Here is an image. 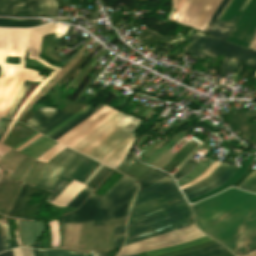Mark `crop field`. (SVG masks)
Masks as SVG:
<instances>
[{
  "label": "crop field",
  "instance_id": "1",
  "mask_svg": "<svg viewBox=\"0 0 256 256\" xmlns=\"http://www.w3.org/2000/svg\"><path fill=\"white\" fill-rule=\"evenodd\" d=\"M191 217L189 205L168 175L138 192L127 223L124 244L190 224Z\"/></svg>",
  "mask_w": 256,
  "mask_h": 256
},
{
  "label": "crop field",
  "instance_id": "2",
  "mask_svg": "<svg viewBox=\"0 0 256 256\" xmlns=\"http://www.w3.org/2000/svg\"><path fill=\"white\" fill-rule=\"evenodd\" d=\"M29 29H0V115L6 116L24 79L39 81L43 76L39 73L24 68L25 51L27 48ZM6 55L22 57L21 64L13 65L6 63ZM2 71L4 77L2 78ZM60 70L56 69L49 77H54ZM50 80L45 79L22 104L21 110L26 106L29 100Z\"/></svg>",
  "mask_w": 256,
  "mask_h": 256
},
{
  "label": "crop field",
  "instance_id": "3",
  "mask_svg": "<svg viewBox=\"0 0 256 256\" xmlns=\"http://www.w3.org/2000/svg\"><path fill=\"white\" fill-rule=\"evenodd\" d=\"M141 120L117 112L104 124L86 136L72 149L115 167L127 154ZM132 138V139H131Z\"/></svg>",
  "mask_w": 256,
  "mask_h": 256
},
{
  "label": "crop field",
  "instance_id": "4",
  "mask_svg": "<svg viewBox=\"0 0 256 256\" xmlns=\"http://www.w3.org/2000/svg\"><path fill=\"white\" fill-rule=\"evenodd\" d=\"M138 188L136 181L124 175L102 198L91 194L77 211L60 218L73 223L94 219V225H107L106 221L129 213Z\"/></svg>",
  "mask_w": 256,
  "mask_h": 256
},
{
  "label": "crop field",
  "instance_id": "5",
  "mask_svg": "<svg viewBox=\"0 0 256 256\" xmlns=\"http://www.w3.org/2000/svg\"><path fill=\"white\" fill-rule=\"evenodd\" d=\"M232 26L233 24L217 20L211 34L221 39L209 35L204 36V34L199 32L194 33L187 39L188 41L194 43L199 38L197 42L189 49V52L203 58H205V55L214 57L216 58L215 61H222L224 58L221 73V76L224 78L229 70L238 69V59H240L245 65L256 67L255 51L247 50L225 41ZM223 79L220 83H222Z\"/></svg>",
  "mask_w": 256,
  "mask_h": 256
},
{
  "label": "crop field",
  "instance_id": "6",
  "mask_svg": "<svg viewBox=\"0 0 256 256\" xmlns=\"http://www.w3.org/2000/svg\"><path fill=\"white\" fill-rule=\"evenodd\" d=\"M95 164L93 159L66 147L46 164L35 186L51 191L47 197L51 203L72 179L80 181Z\"/></svg>",
  "mask_w": 256,
  "mask_h": 256
},
{
  "label": "crop field",
  "instance_id": "7",
  "mask_svg": "<svg viewBox=\"0 0 256 256\" xmlns=\"http://www.w3.org/2000/svg\"><path fill=\"white\" fill-rule=\"evenodd\" d=\"M205 236L199 230L195 228L194 223L185 227L179 228L175 231L145 239L142 241L126 244L122 247L119 255L132 254L136 252L153 250L169 245H174L186 241L196 239L198 237Z\"/></svg>",
  "mask_w": 256,
  "mask_h": 256
},
{
  "label": "crop field",
  "instance_id": "8",
  "mask_svg": "<svg viewBox=\"0 0 256 256\" xmlns=\"http://www.w3.org/2000/svg\"><path fill=\"white\" fill-rule=\"evenodd\" d=\"M188 131L177 133L172 140L158 149L146 163L158 167L170 173L198 144L194 140H186L183 137ZM186 142L184 145L182 143ZM182 146L177 152L173 150L174 146Z\"/></svg>",
  "mask_w": 256,
  "mask_h": 256
},
{
  "label": "crop field",
  "instance_id": "9",
  "mask_svg": "<svg viewBox=\"0 0 256 256\" xmlns=\"http://www.w3.org/2000/svg\"><path fill=\"white\" fill-rule=\"evenodd\" d=\"M126 218H119L116 220L108 221V225H122L126 223ZM84 223H81V229H80V236H79V241L77 245V251L80 249L81 241H82V236H83V228H84ZM105 232H106V226L102 227H93V221H89L85 223V229H84V237H83V242L81 245L80 251L82 252H88L90 249L92 250H97V251H104L105 249ZM125 235L123 234H117L114 235L116 236H122ZM108 246H109V226H107V233H106V249L105 251H108ZM113 249V226H110V246H109V251Z\"/></svg>",
  "mask_w": 256,
  "mask_h": 256
},
{
  "label": "crop field",
  "instance_id": "10",
  "mask_svg": "<svg viewBox=\"0 0 256 256\" xmlns=\"http://www.w3.org/2000/svg\"><path fill=\"white\" fill-rule=\"evenodd\" d=\"M220 0H185L176 21L205 30Z\"/></svg>",
  "mask_w": 256,
  "mask_h": 256
},
{
  "label": "crop field",
  "instance_id": "11",
  "mask_svg": "<svg viewBox=\"0 0 256 256\" xmlns=\"http://www.w3.org/2000/svg\"><path fill=\"white\" fill-rule=\"evenodd\" d=\"M115 112L117 111L105 105L56 141L71 148Z\"/></svg>",
  "mask_w": 256,
  "mask_h": 256
},
{
  "label": "crop field",
  "instance_id": "12",
  "mask_svg": "<svg viewBox=\"0 0 256 256\" xmlns=\"http://www.w3.org/2000/svg\"><path fill=\"white\" fill-rule=\"evenodd\" d=\"M70 116H72V114L62 110L50 107H39L27 123L32 128L44 134L55 128Z\"/></svg>",
  "mask_w": 256,
  "mask_h": 256
},
{
  "label": "crop field",
  "instance_id": "13",
  "mask_svg": "<svg viewBox=\"0 0 256 256\" xmlns=\"http://www.w3.org/2000/svg\"><path fill=\"white\" fill-rule=\"evenodd\" d=\"M0 15L42 16L38 0H0Z\"/></svg>",
  "mask_w": 256,
  "mask_h": 256
},
{
  "label": "crop field",
  "instance_id": "14",
  "mask_svg": "<svg viewBox=\"0 0 256 256\" xmlns=\"http://www.w3.org/2000/svg\"><path fill=\"white\" fill-rule=\"evenodd\" d=\"M58 25H59L58 23H51V24H48V25L46 24L44 26H41V27H38L35 29H30L29 42H28L29 58L36 59L54 69L57 67H54V66L48 64L47 62L39 59L38 53H39V49H40L41 36L48 34V33L56 32Z\"/></svg>",
  "mask_w": 256,
  "mask_h": 256
},
{
  "label": "crop field",
  "instance_id": "15",
  "mask_svg": "<svg viewBox=\"0 0 256 256\" xmlns=\"http://www.w3.org/2000/svg\"><path fill=\"white\" fill-rule=\"evenodd\" d=\"M27 158H28V156L26 155V157H25V158L19 163V165L13 170L12 174L9 176L10 179L13 178L15 172L18 170V168L21 166V164H22ZM31 158H32V157H29V158L22 164V166L19 168V170H18L17 173L15 174L13 180H15V178L18 176V174L20 173V171L23 169V167L27 164V162H28ZM34 161H35V160H33V159H31V160L29 161V163L25 166V168L22 170V172H21V173L19 174V176L17 177V179H16L17 181H20V179L23 177V175L25 174V172H26V171L28 170V168L33 164ZM38 163H39V161L36 160L35 163H34V164L30 167V169L26 172V174L24 175V177L21 179V182L27 183V181H28L30 175L32 174L33 170L35 169V167L37 166ZM42 163H43V162L40 161V163L38 164V166H37L36 169L34 170L33 174L31 175V177H30V179H29V181H28V184H30V182H31L32 179L34 178V176L36 175V173H37V171H38V169L40 168V166H41ZM45 164H46V163H43V164H42V166H41L40 170L38 171L37 175L35 176V178H34L33 181L31 182V185H33V186L35 185V183H36V181H37V179H38V177H39V175H40L42 169L44 168ZM21 186H22V185H21ZM20 188H21V187H20ZM19 190H20V189H19ZM18 192H19V191H18ZM17 194H18V193H17ZM17 194H16V195H17ZM15 197H16V196H15ZM14 199H15V198H14ZM13 201H14V200H13ZM13 201H12V203H13ZM12 203H11V205H12ZM11 205H10V207H11ZM10 207L8 208V210L10 209ZM8 210H7V212H8ZM7 212H6V214H7Z\"/></svg>",
  "mask_w": 256,
  "mask_h": 256
},
{
  "label": "crop field",
  "instance_id": "16",
  "mask_svg": "<svg viewBox=\"0 0 256 256\" xmlns=\"http://www.w3.org/2000/svg\"><path fill=\"white\" fill-rule=\"evenodd\" d=\"M3 182V178L0 181V185ZM9 180L5 179L3 184L0 187V197L2 195L3 190L5 189V187L7 186ZM19 182H15V181H11L8 184V186L6 187L1 199H0V212L5 214L7 208L9 207L11 201L13 200L15 194L17 193L19 187H20Z\"/></svg>",
  "mask_w": 256,
  "mask_h": 256
},
{
  "label": "crop field",
  "instance_id": "17",
  "mask_svg": "<svg viewBox=\"0 0 256 256\" xmlns=\"http://www.w3.org/2000/svg\"><path fill=\"white\" fill-rule=\"evenodd\" d=\"M101 106H103V104H99L96 107H94L93 109H91L92 105H90L84 112L80 113L79 115H77L76 117L71 119L69 122H67L65 125H63L61 128H59L57 131H55L54 133H52L48 137H50V138H52L54 140L59 138L61 135H63L64 133L69 131L71 128H73L74 126L79 124L81 121H83L84 119L89 117L91 114H93Z\"/></svg>",
  "mask_w": 256,
  "mask_h": 256
},
{
  "label": "crop field",
  "instance_id": "18",
  "mask_svg": "<svg viewBox=\"0 0 256 256\" xmlns=\"http://www.w3.org/2000/svg\"><path fill=\"white\" fill-rule=\"evenodd\" d=\"M237 168L238 166L231 164L228 169L214 183L209 184L195 192L185 194L184 196L186 197V199L193 198L218 187L219 185L223 184L236 171Z\"/></svg>",
  "mask_w": 256,
  "mask_h": 256
},
{
  "label": "crop field",
  "instance_id": "19",
  "mask_svg": "<svg viewBox=\"0 0 256 256\" xmlns=\"http://www.w3.org/2000/svg\"><path fill=\"white\" fill-rule=\"evenodd\" d=\"M83 186L84 184L73 180L69 186L52 202V204L57 206H66Z\"/></svg>",
  "mask_w": 256,
  "mask_h": 256
},
{
  "label": "crop field",
  "instance_id": "20",
  "mask_svg": "<svg viewBox=\"0 0 256 256\" xmlns=\"http://www.w3.org/2000/svg\"><path fill=\"white\" fill-rule=\"evenodd\" d=\"M19 222H20V228H21V232H22V236H23L25 245L34 241L29 221L19 220ZM34 222H35V226H36V229L38 232V236H40V234L44 228L43 222H40V221H34ZM31 226H32V223H31ZM32 230H33V227H32ZM37 232H36V235H37ZM33 234H34V238L36 239L34 231H33ZM38 236H37V238H38Z\"/></svg>",
  "mask_w": 256,
  "mask_h": 256
},
{
  "label": "crop field",
  "instance_id": "21",
  "mask_svg": "<svg viewBox=\"0 0 256 256\" xmlns=\"http://www.w3.org/2000/svg\"><path fill=\"white\" fill-rule=\"evenodd\" d=\"M229 165H230L229 163L222 162L219 165V167L213 173H211L208 177H206L204 180H202L201 182H199L191 187L182 189L183 194L195 191V190L215 181L225 171V169Z\"/></svg>",
  "mask_w": 256,
  "mask_h": 256
},
{
  "label": "crop field",
  "instance_id": "22",
  "mask_svg": "<svg viewBox=\"0 0 256 256\" xmlns=\"http://www.w3.org/2000/svg\"><path fill=\"white\" fill-rule=\"evenodd\" d=\"M225 251H227L225 248H223L220 244L215 243L208 247H204L198 250H194L191 252L178 254L174 256H214V255L221 254Z\"/></svg>",
  "mask_w": 256,
  "mask_h": 256
},
{
  "label": "crop field",
  "instance_id": "23",
  "mask_svg": "<svg viewBox=\"0 0 256 256\" xmlns=\"http://www.w3.org/2000/svg\"><path fill=\"white\" fill-rule=\"evenodd\" d=\"M68 226H69V223H66L65 237H64L63 245L61 248H64V244H65V240H66V236H67V232H68ZM79 228H80V223H76V224L70 223L69 233H68L65 248H71V249L75 250L77 239H78V234H79Z\"/></svg>",
  "mask_w": 256,
  "mask_h": 256
},
{
  "label": "crop field",
  "instance_id": "24",
  "mask_svg": "<svg viewBox=\"0 0 256 256\" xmlns=\"http://www.w3.org/2000/svg\"><path fill=\"white\" fill-rule=\"evenodd\" d=\"M21 153H22V152H21ZM21 153L15 151V150H13V149L8 152V154H10V155H12V156H14V157H16V158L22 160L25 155H24V154H21ZM16 158H13V157H11V156L5 154L4 156H2V157L0 158V160L3 161V162H5V163H7V164H9V165H11V166L16 167V165L20 162V160H18V159H16ZM0 166L3 167V168H5L6 170H13V169H14V167L8 166V165H6V164H4V163H2V162H0ZM10 173H11V171H7V174L5 175V178H8V176L10 175Z\"/></svg>",
  "mask_w": 256,
  "mask_h": 256
},
{
  "label": "crop field",
  "instance_id": "25",
  "mask_svg": "<svg viewBox=\"0 0 256 256\" xmlns=\"http://www.w3.org/2000/svg\"><path fill=\"white\" fill-rule=\"evenodd\" d=\"M162 171V170H161ZM155 168H153L148 174H146L140 181V185H141V189L148 187L150 185H152L153 183H155L156 181H158L159 179L163 178L164 176H166L167 174L161 172ZM140 189V190H141Z\"/></svg>",
  "mask_w": 256,
  "mask_h": 256
},
{
  "label": "crop field",
  "instance_id": "26",
  "mask_svg": "<svg viewBox=\"0 0 256 256\" xmlns=\"http://www.w3.org/2000/svg\"><path fill=\"white\" fill-rule=\"evenodd\" d=\"M37 24V20L33 19H0V26H32Z\"/></svg>",
  "mask_w": 256,
  "mask_h": 256
},
{
  "label": "crop field",
  "instance_id": "27",
  "mask_svg": "<svg viewBox=\"0 0 256 256\" xmlns=\"http://www.w3.org/2000/svg\"><path fill=\"white\" fill-rule=\"evenodd\" d=\"M43 16H57V3L55 0H39Z\"/></svg>",
  "mask_w": 256,
  "mask_h": 256
},
{
  "label": "crop field",
  "instance_id": "28",
  "mask_svg": "<svg viewBox=\"0 0 256 256\" xmlns=\"http://www.w3.org/2000/svg\"><path fill=\"white\" fill-rule=\"evenodd\" d=\"M237 187L256 192V169L244 179Z\"/></svg>",
  "mask_w": 256,
  "mask_h": 256
},
{
  "label": "crop field",
  "instance_id": "29",
  "mask_svg": "<svg viewBox=\"0 0 256 256\" xmlns=\"http://www.w3.org/2000/svg\"><path fill=\"white\" fill-rule=\"evenodd\" d=\"M93 188L84 186V188L72 199V201L67 206L78 207L86 197L92 192Z\"/></svg>",
  "mask_w": 256,
  "mask_h": 256
},
{
  "label": "crop field",
  "instance_id": "30",
  "mask_svg": "<svg viewBox=\"0 0 256 256\" xmlns=\"http://www.w3.org/2000/svg\"><path fill=\"white\" fill-rule=\"evenodd\" d=\"M30 84H31L30 81H26V80L24 81V83H23V85H22V87H21V89H20V91H19V93H18V95H17V97H16V99H15L11 109H10L8 117H10V118L12 117L15 109L17 108L18 104L20 103L22 97L24 96V94L27 91V89L30 86Z\"/></svg>",
  "mask_w": 256,
  "mask_h": 256
},
{
  "label": "crop field",
  "instance_id": "31",
  "mask_svg": "<svg viewBox=\"0 0 256 256\" xmlns=\"http://www.w3.org/2000/svg\"><path fill=\"white\" fill-rule=\"evenodd\" d=\"M47 256H93L94 252H90L89 254H81V253H73L71 251H63V250H45Z\"/></svg>",
  "mask_w": 256,
  "mask_h": 256
},
{
  "label": "crop field",
  "instance_id": "32",
  "mask_svg": "<svg viewBox=\"0 0 256 256\" xmlns=\"http://www.w3.org/2000/svg\"><path fill=\"white\" fill-rule=\"evenodd\" d=\"M65 146H62L60 144L55 145L51 149H49L47 152H45L42 156L38 158V160H41L43 162H47L49 159H51L53 156H55L57 153H59Z\"/></svg>",
  "mask_w": 256,
  "mask_h": 256
},
{
  "label": "crop field",
  "instance_id": "33",
  "mask_svg": "<svg viewBox=\"0 0 256 256\" xmlns=\"http://www.w3.org/2000/svg\"><path fill=\"white\" fill-rule=\"evenodd\" d=\"M229 0H221V2L219 3V5L217 6L216 10L214 11L209 23H208V26L206 28V32L210 33L211 32V29H212V26L217 18V16L219 15V13L222 11V9L224 8V6L227 4Z\"/></svg>",
  "mask_w": 256,
  "mask_h": 256
},
{
  "label": "crop field",
  "instance_id": "34",
  "mask_svg": "<svg viewBox=\"0 0 256 256\" xmlns=\"http://www.w3.org/2000/svg\"><path fill=\"white\" fill-rule=\"evenodd\" d=\"M219 164H220V162H218V161L215 160V161L211 164V166H210L201 176H199V177L196 178L195 180H193V181H191V182H189V183H187V184L181 186L180 188L182 189V188L188 187V186H190V185H192V184H194V183H196V182H198V181L204 179V178H205L206 176H208L211 172H213V171L218 167Z\"/></svg>",
  "mask_w": 256,
  "mask_h": 256
},
{
  "label": "crop field",
  "instance_id": "35",
  "mask_svg": "<svg viewBox=\"0 0 256 256\" xmlns=\"http://www.w3.org/2000/svg\"><path fill=\"white\" fill-rule=\"evenodd\" d=\"M195 164H196L195 161L189 160L187 162V164L182 169H180L176 174H174L173 176L175 177V179L180 178L181 176L186 174Z\"/></svg>",
  "mask_w": 256,
  "mask_h": 256
},
{
  "label": "crop field",
  "instance_id": "36",
  "mask_svg": "<svg viewBox=\"0 0 256 256\" xmlns=\"http://www.w3.org/2000/svg\"><path fill=\"white\" fill-rule=\"evenodd\" d=\"M2 236L6 250L18 246L16 238H6L5 234Z\"/></svg>",
  "mask_w": 256,
  "mask_h": 256
},
{
  "label": "crop field",
  "instance_id": "37",
  "mask_svg": "<svg viewBox=\"0 0 256 256\" xmlns=\"http://www.w3.org/2000/svg\"><path fill=\"white\" fill-rule=\"evenodd\" d=\"M10 122H11V119L1 117V119H0V138L3 135V133L5 132V130L7 129V127L9 126Z\"/></svg>",
  "mask_w": 256,
  "mask_h": 256
},
{
  "label": "crop field",
  "instance_id": "38",
  "mask_svg": "<svg viewBox=\"0 0 256 256\" xmlns=\"http://www.w3.org/2000/svg\"><path fill=\"white\" fill-rule=\"evenodd\" d=\"M13 123H14V120H12V122H11L10 126L8 127L6 133L4 134V136H3V137L1 138V140H0V155H1V156H2L3 154H5L8 150L11 149V148H9V147H6V146L2 145L1 143H2L3 139L5 138L6 134L8 133L9 129H10L11 126L13 125Z\"/></svg>",
  "mask_w": 256,
  "mask_h": 256
},
{
  "label": "crop field",
  "instance_id": "39",
  "mask_svg": "<svg viewBox=\"0 0 256 256\" xmlns=\"http://www.w3.org/2000/svg\"><path fill=\"white\" fill-rule=\"evenodd\" d=\"M124 239H125V236L114 238V247H121V245L124 242Z\"/></svg>",
  "mask_w": 256,
  "mask_h": 256
},
{
  "label": "crop field",
  "instance_id": "40",
  "mask_svg": "<svg viewBox=\"0 0 256 256\" xmlns=\"http://www.w3.org/2000/svg\"><path fill=\"white\" fill-rule=\"evenodd\" d=\"M23 256H33V251L30 248L21 247Z\"/></svg>",
  "mask_w": 256,
  "mask_h": 256
},
{
  "label": "crop field",
  "instance_id": "41",
  "mask_svg": "<svg viewBox=\"0 0 256 256\" xmlns=\"http://www.w3.org/2000/svg\"><path fill=\"white\" fill-rule=\"evenodd\" d=\"M103 167V165H99L98 168L87 178L85 183L87 184L95 175L96 173Z\"/></svg>",
  "mask_w": 256,
  "mask_h": 256
},
{
  "label": "crop field",
  "instance_id": "42",
  "mask_svg": "<svg viewBox=\"0 0 256 256\" xmlns=\"http://www.w3.org/2000/svg\"><path fill=\"white\" fill-rule=\"evenodd\" d=\"M125 232V225L114 227V234Z\"/></svg>",
  "mask_w": 256,
  "mask_h": 256
},
{
  "label": "crop field",
  "instance_id": "43",
  "mask_svg": "<svg viewBox=\"0 0 256 256\" xmlns=\"http://www.w3.org/2000/svg\"><path fill=\"white\" fill-rule=\"evenodd\" d=\"M0 256H13V251H12V249H10V250L1 252Z\"/></svg>",
  "mask_w": 256,
  "mask_h": 256
},
{
  "label": "crop field",
  "instance_id": "44",
  "mask_svg": "<svg viewBox=\"0 0 256 256\" xmlns=\"http://www.w3.org/2000/svg\"><path fill=\"white\" fill-rule=\"evenodd\" d=\"M41 136H43V135H41L40 133H39V134H37L35 137H33L31 140H29L27 143H25L24 145H22V146H21V147H19L18 149H20V148L24 147L25 145H27V144L31 143L32 141L36 140L37 138H39V137H41ZM18 149H17V150H18Z\"/></svg>",
  "mask_w": 256,
  "mask_h": 256
},
{
  "label": "crop field",
  "instance_id": "45",
  "mask_svg": "<svg viewBox=\"0 0 256 256\" xmlns=\"http://www.w3.org/2000/svg\"><path fill=\"white\" fill-rule=\"evenodd\" d=\"M183 1H184V0H180L179 4H178V6H177V8H176V10H175V12H174V16H173V20H174V21H175V19H176V13L179 11V9H180V7H181Z\"/></svg>",
  "mask_w": 256,
  "mask_h": 256
},
{
  "label": "crop field",
  "instance_id": "46",
  "mask_svg": "<svg viewBox=\"0 0 256 256\" xmlns=\"http://www.w3.org/2000/svg\"><path fill=\"white\" fill-rule=\"evenodd\" d=\"M13 251L15 256H22L20 248H14Z\"/></svg>",
  "mask_w": 256,
  "mask_h": 256
},
{
  "label": "crop field",
  "instance_id": "47",
  "mask_svg": "<svg viewBox=\"0 0 256 256\" xmlns=\"http://www.w3.org/2000/svg\"><path fill=\"white\" fill-rule=\"evenodd\" d=\"M178 2H179V0H173V10H172V12H171V16H170V20H171V18H172V15H173V12H174V9H175V7H176V5L178 4Z\"/></svg>",
  "mask_w": 256,
  "mask_h": 256
},
{
  "label": "crop field",
  "instance_id": "48",
  "mask_svg": "<svg viewBox=\"0 0 256 256\" xmlns=\"http://www.w3.org/2000/svg\"><path fill=\"white\" fill-rule=\"evenodd\" d=\"M16 223H17V229H18V233H19L20 240H21V244H22V246H23L24 244H23V240H22V237H21V232H20L18 220H16Z\"/></svg>",
  "mask_w": 256,
  "mask_h": 256
},
{
  "label": "crop field",
  "instance_id": "49",
  "mask_svg": "<svg viewBox=\"0 0 256 256\" xmlns=\"http://www.w3.org/2000/svg\"><path fill=\"white\" fill-rule=\"evenodd\" d=\"M55 143L51 144L50 146H48L46 149H44L43 151H41L39 154H37L35 157H33L34 159H36L38 156H40L44 151H46L47 149H49L51 146H53Z\"/></svg>",
  "mask_w": 256,
  "mask_h": 256
},
{
  "label": "crop field",
  "instance_id": "50",
  "mask_svg": "<svg viewBox=\"0 0 256 256\" xmlns=\"http://www.w3.org/2000/svg\"><path fill=\"white\" fill-rule=\"evenodd\" d=\"M64 232H65V225H62V237H61V242H60V245H59V247H58V248H60V247H61V245H62Z\"/></svg>",
  "mask_w": 256,
  "mask_h": 256
},
{
  "label": "crop field",
  "instance_id": "51",
  "mask_svg": "<svg viewBox=\"0 0 256 256\" xmlns=\"http://www.w3.org/2000/svg\"><path fill=\"white\" fill-rule=\"evenodd\" d=\"M5 249H4V246H3V244H2V240H1V236H0V252L1 251H4Z\"/></svg>",
  "mask_w": 256,
  "mask_h": 256
},
{
  "label": "crop field",
  "instance_id": "52",
  "mask_svg": "<svg viewBox=\"0 0 256 256\" xmlns=\"http://www.w3.org/2000/svg\"><path fill=\"white\" fill-rule=\"evenodd\" d=\"M99 256H108V253H99Z\"/></svg>",
  "mask_w": 256,
  "mask_h": 256
},
{
  "label": "crop field",
  "instance_id": "53",
  "mask_svg": "<svg viewBox=\"0 0 256 256\" xmlns=\"http://www.w3.org/2000/svg\"><path fill=\"white\" fill-rule=\"evenodd\" d=\"M249 254H250V253H249ZM252 254H253V256H256V251L252 252ZM245 256H249V255L247 254V255H245ZM250 256H251V254H250Z\"/></svg>",
  "mask_w": 256,
  "mask_h": 256
},
{
  "label": "crop field",
  "instance_id": "54",
  "mask_svg": "<svg viewBox=\"0 0 256 256\" xmlns=\"http://www.w3.org/2000/svg\"><path fill=\"white\" fill-rule=\"evenodd\" d=\"M0 226H1L2 233H4V230H3V226H2L1 221H0Z\"/></svg>",
  "mask_w": 256,
  "mask_h": 256
},
{
  "label": "crop field",
  "instance_id": "55",
  "mask_svg": "<svg viewBox=\"0 0 256 256\" xmlns=\"http://www.w3.org/2000/svg\"><path fill=\"white\" fill-rule=\"evenodd\" d=\"M41 251H42V255H43V256H46V255H45V251H44V250H41Z\"/></svg>",
  "mask_w": 256,
  "mask_h": 256
},
{
  "label": "crop field",
  "instance_id": "56",
  "mask_svg": "<svg viewBox=\"0 0 256 256\" xmlns=\"http://www.w3.org/2000/svg\"><path fill=\"white\" fill-rule=\"evenodd\" d=\"M33 251H34V256H37V252H36V250H34V249H33Z\"/></svg>",
  "mask_w": 256,
  "mask_h": 256
},
{
  "label": "crop field",
  "instance_id": "57",
  "mask_svg": "<svg viewBox=\"0 0 256 256\" xmlns=\"http://www.w3.org/2000/svg\"><path fill=\"white\" fill-rule=\"evenodd\" d=\"M36 246H37V248H39V249H40L39 242H37V243H36Z\"/></svg>",
  "mask_w": 256,
  "mask_h": 256
},
{
  "label": "crop field",
  "instance_id": "58",
  "mask_svg": "<svg viewBox=\"0 0 256 256\" xmlns=\"http://www.w3.org/2000/svg\"><path fill=\"white\" fill-rule=\"evenodd\" d=\"M37 252H38V256H41V252H40V250H37Z\"/></svg>",
  "mask_w": 256,
  "mask_h": 256
},
{
  "label": "crop field",
  "instance_id": "59",
  "mask_svg": "<svg viewBox=\"0 0 256 256\" xmlns=\"http://www.w3.org/2000/svg\"><path fill=\"white\" fill-rule=\"evenodd\" d=\"M128 256H138V254L128 255Z\"/></svg>",
  "mask_w": 256,
  "mask_h": 256
}]
</instances>
